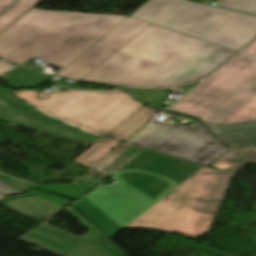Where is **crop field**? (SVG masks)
Listing matches in <instances>:
<instances>
[{
  "instance_id": "8",
  "label": "crop field",
  "mask_w": 256,
  "mask_h": 256,
  "mask_svg": "<svg viewBox=\"0 0 256 256\" xmlns=\"http://www.w3.org/2000/svg\"><path fill=\"white\" fill-rule=\"evenodd\" d=\"M18 239L58 256H123L46 223Z\"/></svg>"
},
{
  "instance_id": "22",
  "label": "crop field",
  "mask_w": 256,
  "mask_h": 256,
  "mask_svg": "<svg viewBox=\"0 0 256 256\" xmlns=\"http://www.w3.org/2000/svg\"><path fill=\"white\" fill-rule=\"evenodd\" d=\"M29 195L40 197V198H44V199H48V200H52V201H56V202H60V203L65 204L67 206L70 205V204H68L66 202L65 198L54 196V195H50V194H46V193H43V192H40V191H37V190H34V189H32L26 195L7 197V199L2 201L1 203L5 204L7 201H9L11 199L20 198V197L29 196Z\"/></svg>"
},
{
  "instance_id": "2",
  "label": "crop field",
  "mask_w": 256,
  "mask_h": 256,
  "mask_svg": "<svg viewBox=\"0 0 256 256\" xmlns=\"http://www.w3.org/2000/svg\"><path fill=\"white\" fill-rule=\"evenodd\" d=\"M237 51L154 24L82 81L162 88L198 80Z\"/></svg>"
},
{
  "instance_id": "7",
  "label": "crop field",
  "mask_w": 256,
  "mask_h": 256,
  "mask_svg": "<svg viewBox=\"0 0 256 256\" xmlns=\"http://www.w3.org/2000/svg\"><path fill=\"white\" fill-rule=\"evenodd\" d=\"M149 24L129 17L57 75L81 80Z\"/></svg>"
},
{
  "instance_id": "3",
  "label": "crop field",
  "mask_w": 256,
  "mask_h": 256,
  "mask_svg": "<svg viewBox=\"0 0 256 256\" xmlns=\"http://www.w3.org/2000/svg\"><path fill=\"white\" fill-rule=\"evenodd\" d=\"M124 18L33 8L0 35V56L21 65L34 57L64 67Z\"/></svg>"
},
{
  "instance_id": "17",
  "label": "crop field",
  "mask_w": 256,
  "mask_h": 256,
  "mask_svg": "<svg viewBox=\"0 0 256 256\" xmlns=\"http://www.w3.org/2000/svg\"><path fill=\"white\" fill-rule=\"evenodd\" d=\"M67 211L70 212L75 218H77L84 226H86L90 230L88 233H86L83 236V238L125 255V253L122 250H120L114 243H112L98 229H96L91 223H89L84 217H82L76 210H74L71 207Z\"/></svg>"
},
{
  "instance_id": "21",
  "label": "crop field",
  "mask_w": 256,
  "mask_h": 256,
  "mask_svg": "<svg viewBox=\"0 0 256 256\" xmlns=\"http://www.w3.org/2000/svg\"><path fill=\"white\" fill-rule=\"evenodd\" d=\"M0 93H1V95H2V97L4 98V100H5L6 103L12 105L13 107H15V108H17V109H19V110H21V111H24V112H26V113H28V114H30V115H33V116H35V117H37V118H39V119H41V120H43V121H45V122H48V123H50V124H52V125L65 127V128L70 129V130H73V131H75V132H77V133H80V134H83V135H85V136H88V137H91V138H94V139H97V140H98V138H96V137H94V136H91V135L84 134V133L78 131L77 129H75V128H73V127L64 126V125H59V124H56V123H54V122H52V121H50V120H47V119L41 117V116H36L37 114H34L33 111L28 110V109H24L20 104L15 103V102L9 100V99L7 98V96H6V94L2 93L1 90H0Z\"/></svg>"
},
{
  "instance_id": "4",
  "label": "crop field",
  "mask_w": 256,
  "mask_h": 256,
  "mask_svg": "<svg viewBox=\"0 0 256 256\" xmlns=\"http://www.w3.org/2000/svg\"><path fill=\"white\" fill-rule=\"evenodd\" d=\"M169 110L208 122L256 120V58L240 54Z\"/></svg>"
},
{
  "instance_id": "9",
  "label": "crop field",
  "mask_w": 256,
  "mask_h": 256,
  "mask_svg": "<svg viewBox=\"0 0 256 256\" xmlns=\"http://www.w3.org/2000/svg\"><path fill=\"white\" fill-rule=\"evenodd\" d=\"M0 120L48 132L62 137L74 139L85 143H93L96 140L74 133L65 128L49 125L33 116L21 112L7 105L0 95Z\"/></svg>"
},
{
  "instance_id": "10",
  "label": "crop field",
  "mask_w": 256,
  "mask_h": 256,
  "mask_svg": "<svg viewBox=\"0 0 256 256\" xmlns=\"http://www.w3.org/2000/svg\"><path fill=\"white\" fill-rule=\"evenodd\" d=\"M202 123L229 146L256 145V121L232 124Z\"/></svg>"
},
{
  "instance_id": "6",
  "label": "crop field",
  "mask_w": 256,
  "mask_h": 256,
  "mask_svg": "<svg viewBox=\"0 0 256 256\" xmlns=\"http://www.w3.org/2000/svg\"><path fill=\"white\" fill-rule=\"evenodd\" d=\"M44 115L95 136L106 135L143 106L120 90H84L32 104Z\"/></svg>"
},
{
  "instance_id": "5",
  "label": "crop field",
  "mask_w": 256,
  "mask_h": 256,
  "mask_svg": "<svg viewBox=\"0 0 256 256\" xmlns=\"http://www.w3.org/2000/svg\"><path fill=\"white\" fill-rule=\"evenodd\" d=\"M131 16L238 51L256 38V16L187 0H150Z\"/></svg>"
},
{
  "instance_id": "14",
  "label": "crop field",
  "mask_w": 256,
  "mask_h": 256,
  "mask_svg": "<svg viewBox=\"0 0 256 256\" xmlns=\"http://www.w3.org/2000/svg\"><path fill=\"white\" fill-rule=\"evenodd\" d=\"M120 142L108 139L104 137L99 142L93 144L86 151H84L79 157L74 161L91 167L100 161L104 156H106L113 148L119 145Z\"/></svg>"
},
{
  "instance_id": "15",
  "label": "crop field",
  "mask_w": 256,
  "mask_h": 256,
  "mask_svg": "<svg viewBox=\"0 0 256 256\" xmlns=\"http://www.w3.org/2000/svg\"><path fill=\"white\" fill-rule=\"evenodd\" d=\"M95 185L91 184H80V183H71V184H42L36 187L43 191H47L53 194L64 196L71 199H79L81 196L86 194L88 191L93 189Z\"/></svg>"
},
{
  "instance_id": "25",
  "label": "crop field",
  "mask_w": 256,
  "mask_h": 256,
  "mask_svg": "<svg viewBox=\"0 0 256 256\" xmlns=\"http://www.w3.org/2000/svg\"><path fill=\"white\" fill-rule=\"evenodd\" d=\"M73 90H77V89H71L67 92H70V91H73ZM19 92L23 93L24 95H26L28 98H30L31 100H33L35 102L40 101V100H44V98L36 96L37 93H38V91H36V90H25V91H19ZM60 94H63V93L53 92V94L50 97H54V96H57V95H60Z\"/></svg>"
},
{
  "instance_id": "26",
  "label": "crop field",
  "mask_w": 256,
  "mask_h": 256,
  "mask_svg": "<svg viewBox=\"0 0 256 256\" xmlns=\"http://www.w3.org/2000/svg\"><path fill=\"white\" fill-rule=\"evenodd\" d=\"M14 68H16V66L0 61V75Z\"/></svg>"
},
{
  "instance_id": "30",
  "label": "crop field",
  "mask_w": 256,
  "mask_h": 256,
  "mask_svg": "<svg viewBox=\"0 0 256 256\" xmlns=\"http://www.w3.org/2000/svg\"><path fill=\"white\" fill-rule=\"evenodd\" d=\"M3 198H4V196L0 194V200L3 199Z\"/></svg>"
},
{
  "instance_id": "27",
  "label": "crop field",
  "mask_w": 256,
  "mask_h": 256,
  "mask_svg": "<svg viewBox=\"0 0 256 256\" xmlns=\"http://www.w3.org/2000/svg\"><path fill=\"white\" fill-rule=\"evenodd\" d=\"M1 88V87H0ZM1 90H2V92H6V91H8V90H4L3 88H1ZM12 91V90H11ZM14 92V94L18 97V98H20V99H22V100H24L25 102H27L28 104H31V103H34V102H32L30 99H28L26 96H24V95H22L21 93H19V92H17V91H13Z\"/></svg>"
},
{
  "instance_id": "28",
  "label": "crop field",
  "mask_w": 256,
  "mask_h": 256,
  "mask_svg": "<svg viewBox=\"0 0 256 256\" xmlns=\"http://www.w3.org/2000/svg\"><path fill=\"white\" fill-rule=\"evenodd\" d=\"M14 0H0V13L9 6Z\"/></svg>"
},
{
  "instance_id": "29",
  "label": "crop field",
  "mask_w": 256,
  "mask_h": 256,
  "mask_svg": "<svg viewBox=\"0 0 256 256\" xmlns=\"http://www.w3.org/2000/svg\"><path fill=\"white\" fill-rule=\"evenodd\" d=\"M244 53L256 56V42L252 46H250L246 51H244Z\"/></svg>"
},
{
  "instance_id": "12",
  "label": "crop field",
  "mask_w": 256,
  "mask_h": 256,
  "mask_svg": "<svg viewBox=\"0 0 256 256\" xmlns=\"http://www.w3.org/2000/svg\"><path fill=\"white\" fill-rule=\"evenodd\" d=\"M154 111L155 109L142 107L107 135L126 140L153 118Z\"/></svg>"
},
{
  "instance_id": "1",
  "label": "crop field",
  "mask_w": 256,
  "mask_h": 256,
  "mask_svg": "<svg viewBox=\"0 0 256 256\" xmlns=\"http://www.w3.org/2000/svg\"><path fill=\"white\" fill-rule=\"evenodd\" d=\"M146 148L73 206L110 238L147 228L193 239L209 232L231 177L205 166L228 149L198 122L148 124L127 141Z\"/></svg>"
},
{
  "instance_id": "19",
  "label": "crop field",
  "mask_w": 256,
  "mask_h": 256,
  "mask_svg": "<svg viewBox=\"0 0 256 256\" xmlns=\"http://www.w3.org/2000/svg\"><path fill=\"white\" fill-rule=\"evenodd\" d=\"M128 92L136 95L137 98L145 100L148 105L158 107L170 95L165 92L127 89Z\"/></svg>"
},
{
  "instance_id": "23",
  "label": "crop field",
  "mask_w": 256,
  "mask_h": 256,
  "mask_svg": "<svg viewBox=\"0 0 256 256\" xmlns=\"http://www.w3.org/2000/svg\"><path fill=\"white\" fill-rule=\"evenodd\" d=\"M0 178L7 181V182H10L26 191H29L33 186L37 185V184H34V183H30V182H27V181H24V180H21V179H18V178H14V177H11L3 172L0 171ZM34 188V187H33Z\"/></svg>"
},
{
  "instance_id": "13",
  "label": "crop field",
  "mask_w": 256,
  "mask_h": 256,
  "mask_svg": "<svg viewBox=\"0 0 256 256\" xmlns=\"http://www.w3.org/2000/svg\"><path fill=\"white\" fill-rule=\"evenodd\" d=\"M144 148L125 143L94 168L112 175Z\"/></svg>"
},
{
  "instance_id": "18",
  "label": "crop field",
  "mask_w": 256,
  "mask_h": 256,
  "mask_svg": "<svg viewBox=\"0 0 256 256\" xmlns=\"http://www.w3.org/2000/svg\"><path fill=\"white\" fill-rule=\"evenodd\" d=\"M50 77L51 76L22 68L5 80L13 85L26 84L36 86L40 82H43Z\"/></svg>"
},
{
  "instance_id": "24",
  "label": "crop field",
  "mask_w": 256,
  "mask_h": 256,
  "mask_svg": "<svg viewBox=\"0 0 256 256\" xmlns=\"http://www.w3.org/2000/svg\"><path fill=\"white\" fill-rule=\"evenodd\" d=\"M0 192L5 195L26 193V191L0 179Z\"/></svg>"
},
{
  "instance_id": "16",
  "label": "crop field",
  "mask_w": 256,
  "mask_h": 256,
  "mask_svg": "<svg viewBox=\"0 0 256 256\" xmlns=\"http://www.w3.org/2000/svg\"><path fill=\"white\" fill-rule=\"evenodd\" d=\"M41 0H20L0 17V34Z\"/></svg>"
},
{
  "instance_id": "20",
  "label": "crop field",
  "mask_w": 256,
  "mask_h": 256,
  "mask_svg": "<svg viewBox=\"0 0 256 256\" xmlns=\"http://www.w3.org/2000/svg\"><path fill=\"white\" fill-rule=\"evenodd\" d=\"M219 7H225L256 14V0H225L219 5Z\"/></svg>"
},
{
  "instance_id": "11",
  "label": "crop field",
  "mask_w": 256,
  "mask_h": 256,
  "mask_svg": "<svg viewBox=\"0 0 256 256\" xmlns=\"http://www.w3.org/2000/svg\"><path fill=\"white\" fill-rule=\"evenodd\" d=\"M250 162L256 163V147L231 148L210 166L233 177Z\"/></svg>"
}]
</instances>
